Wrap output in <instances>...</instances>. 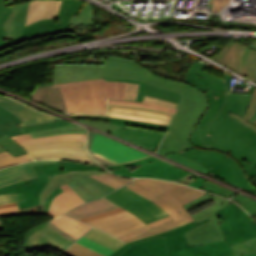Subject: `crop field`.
<instances>
[{"mask_svg":"<svg viewBox=\"0 0 256 256\" xmlns=\"http://www.w3.org/2000/svg\"><path fill=\"white\" fill-rule=\"evenodd\" d=\"M143 102L154 103V104H158V105H162V106H166V107H173V108L178 107L177 103L164 101V100H160V99H155V98H151V97H147V96L144 97Z\"/></svg>","mask_w":256,"mask_h":256,"instance_id":"49","label":"crop field"},{"mask_svg":"<svg viewBox=\"0 0 256 256\" xmlns=\"http://www.w3.org/2000/svg\"><path fill=\"white\" fill-rule=\"evenodd\" d=\"M249 47L256 49V41H253Z\"/></svg>","mask_w":256,"mask_h":256,"instance_id":"59","label":"crop field"},{"mask_svg":"<svg viewBox=\"0 0 256 256\" xmlns=\"http://www.w3.org/2000/svg\"><path fill=\"white\" fill-rule=\"evenodd\" d=\"M185 223H187L186 220L181 221V222H178V223H175V224H173V225L167 226V227H165V228H162V229H160V230L154 231V232H152V233H149V234H146V235H143V236L131 238V239H129V240H126L125 242L128 243V242H130V241H134V240H137V239H139V238L148 237V236H150V235L157 234V233H160V232H162V231H167V230H170V229H172V228L178 227V226H180V225H182V224H185Z\"/></svg>","mask_w":256,"mask_h":256,"instance_id":"50","label":"crop field"},{"mask_svg":"<svg viewBox=\"0 0 256 256\" xmlns=\"http://www.w3.org/2000/svg\"><path fill=\"white\" fill-rule=\"evenodd\" d=\"M138 84L127 83L124 99L135 100Z\"/></svg>","mask_w":256,"mask_h":256,"instance_id":"51","label":"crop field"},{"mask_svg":"<svg viewBox=\"0 0 256 256\" xmlns=\"http://www.w3.org/2000/svg\"><path fill=\"white\" fill-rule=\"evenodd\" d=\"M125 186L155 202L170 216L148 224L147 229L118 237L122 240L152 232L184 219L188 222L194 221L182 205L207 193L179 183L156 179L137 178Z\"/></svg>","mask_w":256,"mask_h":256,"instance_id":"5","label":"crop field"},{"mask_svg":"<svg viewBox=\"0 0 256 256\" xmlns=\"http://www.w3.org/2000/svg\"><path fill=\"white\" fill-rule=\"evenodd\" d=\"M156 160H159V159H157L155 157H151V158L139 160V161L132 162V163L119 164V165H115V166H104V167L107 168V169L130 167V166L139 165V164H146L148 162H153V161H156Z\"/></svg>","mask_w":256,"mask_h":256,"instance_id":"48","label":"crop field"},{"mask_svg":"<svg viewBox=\"0 0 256 256\" xmlns=\"http://www.w3.org/2000/svg\"><path fill=\"white\" fill-rule=\"evenodd\" d=\"M63 254L67 256H104L94 250H91L77 242L70 246Z\"/></svg>","mask_w":256,"mask_h":256,"instance_id":"35","label":"crop field"},{"mask_svg":"<svg viewBox=\"0 0 256 256\" xmlns=\"http://www.w3.org/2000/svg\"><path fill=\"white\" fill-rule=\"evenodd\" d=\"M231 256H233V255H231ZM242 256H256V253L248 254V255H242Z\"/></svg>","mask_w":256,"mask_h":256,"instance_id":"61","label":"crop field"},{"mask_svg":"<svg viewBox=\"0 0 256 256\" xmlns=\"http://www.w3.org/2000/svg\"><path fill=\"white\" fill-rule=\"evenodd\" d=\"M52 162H60V160H43V161H32L28 163L21 164L19 166L2 169L0 170V187L5 185L18 182L21 180H27L31 178H35L33 170L30 166L41 163H52Z\"/></svg>","mask_w":256,"mask_h":256,"instance_id":"23","label":"crop field"},{"mask_svg":"<svg viewBox=\"0 0 256 256\" xmlns=\"http://www.w3.org/2000/svg\"><path fill=\"white\" fill-rule=\"evenodd\" d=\"M86 149L102 165H115L151 156L91 130Z\"/></svg>","mask_w":256,"mask_h":256,"instance_id":"11","label":"crop field"},{"mask_svg":"<svg viewBox=\"0 0 256 256\" xmlns=\"http://www.w3.org/2000/svg\"><path fill=\"white\" fill-rule=\"evenodd\" d=\"M0 145L14 157L26 154V151L7 135L0 138Z\"/></svg>","mask_w":256,"mask_h":256,"instance_id":"36","label":"crop field"},{"mask_svg":"<svg viewBox=\"0 0 256 256\" xmlns=\"http://www.w3.org/2000/svg\"><path fill=\"white\" fill-rule=\"evenodd\" d=\"M51 222L76 240L92 228L64 214L51 220Z\"/></svg>","mask_w":256,"mask_h":256,"instance_id":"28","label":"crop field"},{"mask_svg":"<svg viewBox=\"0 0 256 256\" xmlns=\"http://www.w3.org/2000/svg\"><path fill=\"white\" fill-rule=\"evenodd\" d=\"M32 97L36 101L43 102L64 113H68L59 87H55L54 85L38 87L36 92L32 94Z\"/></svg>","mask_w":256,"mask_h":256,"instance_id":"26","label":"crop field"},{"mask_svg":"<svg viewBox=\"0 0 256 256\" xmlns=\"http://www.w3.org/2000/svg\"><path fill=\"white\" fill-rule=\"evenodd\" d=\"M24 161H32V159L28 154L14 158L7 151L0 153V168L19 164Z\"/></svg>","mask_w":256,"mask_h":256,"instance_id":"38","label":"crop field"},{"mask_svg":"<svg viewBox=\"0 0 256 256\" xmlns=\"http://www.w3.org/2000/svg\"><path fill=\"white\" fill-rule=\"evenodd\" d=\"M27 133H31L32 137L35 138V137H41V136H47V135H53V134H59V133H87V129L75 124H70V125H64L60 127L47 129V130L31 131Z\"/></svg>","mask_w":256,"mask_h":256,"instance_id":"31","label":"crop field"},{"mask_svg":"<svg viewBox=\"0 0 256 256\" xmlns=\"http://www.w3.org/2000/svg\"><path fill=\"white\" fill-rule=\"evenodd\" d=\"M205 66L201 63L195 71L213 82L205 93L210 106L195 128L191 142L200 148L223 150L247 170L256 164V132L227 114L232 111L243 117L251 96L229 93L231 76L225 74L222 81L203 72Z\"/></svg>","mask_w":256,"mask_h":256,"instance_id":"2","label":"crop field"},{"mask_svg":"<svg viewBox=\"0 0 256 256\" xmlns=\"http://www.w3.org/2000/svg\"><path fill=\"white\" fill-rule=\"evenodd\" d=\"M105 197L136 214L146 224L168 216L161 207L150 202L143 196L127 189L125 186Z\"/></svg>","mask_w":256,"mask_h":256,"instance_id":"13","label":"crop field"},{"mask_svg":"<svg viewBox=\"0 0 256 256\" xmlns=\"http://www.w3.org/2000/svg\"><path fill=\"white\" fill-rule=\"evenodd\" d=\"M2 151H5V150L0 146V152H2Z\"/></svg>","mask_w":256,"mask_h":256,"instance_id":"62","label":"crop field"},{"mask_svg":"<svg viewBox=\"0 0 256 256\" xmlns=\"http://www.w3.org/2000/svg\"><path fill=\"white\" fill-rule=\"evenodd\" d=\"M126 83L103 79L57 84L60 86L69 112L106 114L105 97L123 99Z\"/></svg>","mask_w":256,"mask_h":256,"instance_id":"7","label":"crop field"},{"mask_svg":"<svg viewBox=\"0 0 256 256\" xmlns=\"http://www.w3.org/2000/svg\"><path fill=\"white\" fill-rule=\"evenodd\" d=\"M70 243L45 223L28 231L24 239L25 252L32 250H45L49 245L63 251Z\"/></svg>","mask_w":256,"mask_h":256,"instance_id":"17","label":"crop field"},{"mask_svg":"<svg viewBox=\"0 0 256 256\" xmlns=\"http://www.w3.org/2000/svg\"><path fill=\"white\" fill-rule=\"evenodd\" d=\"M109 200V199H108ZM105 197L88 202L84 205L78 206L75 209L67 212L66 214L71 215L77 219L96 215L99 213L110 211L114 208L119 207L118 205L108 201Z\"/></svg>","mask_w":256,"mask_h":256,"instance_id":"27","label":"crop field"},{"mask_svg":"<svg viewBox=\"0 0 256 256\" xmlns=\"http://www.w3.org/2000/svg\"><path fill=\"white\" fill-rule=\"evenodd\" d=\"M234 255L256 252V238L230 246Z\"/></svg>","mask_w":256,"mask_h":256,"instance_id":"37","label":"crop field"},{"mask_svg":"<svg viewBox=\"0 0 256 256\" xmlns=\"http://www.w3.org/2000/svg\"><path fill=\"white\" fill-rule=\"evenodd\" d=\"M246 172H247V174H248L250 180H252L251 178L256 175V165H254L252 168H250V169H249L248 171H246Z\"/></svg>","mask_w":256,"mask_h":256,"instance_id":"56","label":"crop field"},{"mask_svg":"<svg viewBox=\"0 0 256 256\" xmlns=\"http://www.w3.org/2000/svg\"><path fill=\"white\" fill-rule=\"evenodd\" d=\"M23 148L33 159L62 158L98 164L87 154L85 142L82 141H55Z\"/></svg>","mask_w":256,"mask_h":256,"instance_id":"12","label":"crop field"},{"mask_svg":"<svg viewBox=\"0 0 256 256\" xmlns=\"http://www.w3.org/2000/svg\"><path fill=\"white\" fill-rule=\"evenodd\" d=\"M52 165H60V163H53V164H41V165H35L32 166V169L34 170L35 174L38 178L27 180V184L35 183L39 181H43L49 178V176L41 169L42 167L52 166Z\"/></svg>","mask_w":256,"mask_h":256,"instance_id":"45","label":"crop field"},{"mask_svg":"<svg viewBox=\"0 0 256 256\" xmlns=\"http://www.w3.org/2000/svg\"><path fill=\"white\" fill-rule=\"evenodd\" d=\"M108 102L112 103H120V104H128V105H137V106H145V107H150V108H155V109H160V110H165L169 112L175 113L177 109L173 108H166L154 104H147V103H139V102H132V101H125V100H118V99H107Z\"/></svg>","mask_w":256,"mask_h":256,"instance_id":"44","label":"crop field"},{"mask_svg":"<svg viewBox=\"0 0 256 256\" xmlns=\"http://www.w3.org/2000/svg\"><path fill=\"white\" fill-rule=\"evenodd\" d=\"M256 118V113L251 117V119L249 121H253Z\"/></svg>","mask_w":256,"mask_h":256,"instance_id":"60","label":"crop field"},{"mask_svg":"<svg viewBox=\"0 0 256 256\" xmlns=\"http://www.w3.org/2000/svg\"><path fill=\"white\" fill-rule=\"evenodd\" d=\"M22 123V121L15 116L12 112L8 111L4 107L0 106V137L7 134L9 136L21 135L26 131L46 129L64 124H70L66 120L19 127L16 124Z\"/></svg>","mask_w":256,"mask_h":256,"instance_id":"20","label":"crop field"},{"mask_svg":"<svg viewBox=\"0 0 256 256\" xmlns=\"http://www.w3.org/2000/svg\"><path fill=\"white\" fill-rule=\"evenodd\" d=\"M77 242H79V243H81V244H83V245H85L89 248H92V249H94V250H96V251H98V252H100V253H102L106 256H108V255H110L111 253L114 252V251L109 250V249H107V248H105V247H103V246H101V245H99V244H97V243H95L91 240H88L84 237L80 238Z\"/></svg>","mask_w":256,"mask_h":256,"instance_id":"46","label":"crop field"},{"mask_svg":"<svg viewBox=\"0 0 256 256\" xmlns=\"http://www.w3.org/2000/svg\"><path fill=\"white\" fill-rule=\"evenodd\" d=\"M200 64V62L198 61L197 63H195L194 65H192L189 68V71L186 75L185 81L188 83L193 84L195 87L199 88L202 91H206L208 89V87L211 85V82L198 77L194 70L196 69V67Z\"/></svg>","mask_w":256,"mask_h":256,"instance_id":"34","label":"crop field"},{"mask_svg":"<svg viewBox=\"0 0 256 256\" xmlns=\"http://www.w3.org/2000/svg\"><path fill=\"white\" fill-rule=\"evenodd\" d=\"M217 214L224 222L220 224L227 241L188 246L183 234L204 222H190L178 228L165 232L168 256H227L233 254L229 245L256 237L249 226L246 212L234 202L218 211Z\"/></svg>","mask_w":256,"mask_h":256,"instance_id":"4","label":"crop field"},{"mask_svg":"<svg viewBox=\"0 0 256 256\" xmlns=\"http://www.w3.org/2000/svg\"><path fill=\"white\" fill-rule=\"evenodd\" d=\"M248 219H249V224L250 226L255 230L256 232V222L249 216L247 215Z\"/></svg>","mask_w":256,"mask_h":256,"instance_id":"57","label":"crop field"},{"mask_svg":"<svg viewBox=\"0 0 256 256\" xmlns=\"http://www.w3.org/2000/svg\"><path fill=\"white\" fill-rule=\"evenodd\" d=\"M214 60L256 82V50L228 43Z\"/></svg>","mask_w":256,"mask_h":256,"instance_id":"14","label":"crop field"},{"mask_svg":"<svg viewBox=\"0 0 256 256\" xmlns=\"http://www.w3.org/2000/svg\"><path fill=\"white\" fill-rule=\"evenodd\" d=\"M92 9L91 5L87 2H84V7L80 10V12L72 17L70 24L72 25H92Z\"/></svg>","mask_w":256,"mask_h":256,"instance_id":"32","label":"crop field"},{"mask_svg":"<svg viewBox=\"0 0 256 256\" xmlns=\"http://www.w3.org/2000/svg\"><path fill=\"white\" fill-rule=\"evenodd\" d=\"M61 188L64 191L56 195V197L53 199L47 213L48 215L58 216L65 213L69 209L84 203V201L72 190L68 184L61 186Z\"/></svg>","mask_w":256,"mask_h":256,"instance_id":"24","label":"crop field"},{"mask_svg":"<svg viewBox=\"0 0 256 256\" xmlns=\"http://www.w3.org/2000/svg\"><path fill=\"white\" fill-rule=\"evenodd\" d=\"M255 111H256V88L254 89V94L252 96V100L249 105V108L243 118L231 112L228 115L232 116L233 118L237 119L238 121L242 122L243 124L247 125L251 129L256 131V127L247 122V120L250 119V117L255 113Z\"/></svg>","mask_w":256,"mask_h":256,"instance_id":"39","label":"crop field"},{"mask_svg":"<svg viewBox=\"0 0 256 256\" xmlns=\"http://www.w3.org/2000/svg\"><path fill=\"white\" fill-rule=\"evenodd\" d=\"M74 117L110 119V123L96 122V121H89V120H81V121L154 152L159 146L165 133H167V129L169 127L166 125L113 119L109 117H95V116H74Z\"/></svg>","mask_w":256,"mask_h":256,"instance_id":"8","label":"crop field"},{"mask_svg":"<svg viewBox=\"0 0 256 256\" xmlns=\"http://www.w3.org/2000/svg\"><path fill=\"white\" fill-rule=\"evenodd\" d=\"M109 81L139 83L136 101L142 102L144 95L179 103L181 94L131 79H104Z\"/></svg>","mask_w":256,"mask_h":256,"instance_id":"25","label":"crop field"},{"mask_svg":"<svg viewBox=\"0 0 256 256\" xmlns=\"http://www.w3.org/2000/svg\"><path fill=\"white\" fill-rule=\"evenodd\" d=\"M91 177L99 181L105 182L115 187L116 189L134 179V178H125V177L116 176L112 173L91 175Z\"/></svg>","mask_w":256,"mask_h":256,"instance_id":"33","label":"crop field"},{"mask_svg":"<svg viewBox=\"0 0 256 256\" xmlns=\"http://www.w3.org/2000/svg\"><path fill=\"white\" fill-rule=\"evenodd\" d=\"M69 115H94V114H69ZM102 116V115H95ZM108 116L128 120L151 122L170 125L173 113L137 106H127L108 103Z\"/></svg>","mask_w":256,"mask_h":256,"instance_id":"15","label":"crop field"},{"mask_svg":"<svg viewBox=\"0 0 256 256\" xmlns=\"http://www.w3.org/2000/svg\"><path fill=\"white\" fill-rule=\"evenodd\" d=\"M84 1L63 0L60 12L55 19L42 20L24 28L21 39L3 42L2 36L13 37L20 5L4 7L5 0H0V51L21 44L30 39L64 32L69 26L71 17L79 12Z\"/></svg>","mask_w":256,"mask_h":256,"instance_id":"6","label":"crop field"},{"mask_svg":"<svg viewBox=\"0 0 256 256\" xmlns=\"http://www.w3.org/2000/svg\"><path fill=\"white\" fill-rule=\"evenodd\" d=\"M15 205H17V204H16V203L2 204V205H0V208H2V207H8V206H15Z\"/></svg>","mask_w":256,"mask_h":256,"instance_id":"58","label":"crop field"},{"mask_svg":"<svg viewBox=\"0 0 256 256\" xmlns=\"http://www.w3.org/2000/svg\"><path fill=\"white\" fill-rule=\"evenodd\" d=\"M20 214L17 206L0 209V217Z\"/></svg>","mask_w":256,"mask_h":256,"instance_id":"53","label":"crop field"},{"mask_svg":"<svg viewBox=\"0 0 256 256\" xmlns=\"http://www.w3.org/2000/svg\"><path fill=\"white\" fill-rule=\"evenodd\" d=\"M166 157H168V158H170L172 160H175L177 162H180L182 164H185L187 166H190V167H192L194 169H197L199 171H202V172H204L206 174L209 173V171L207 169H205L204 167H202V166L196 164L195 162H193L192 160H190V159H188L186 157H183L181 155H178L176 153H170V154L166 155Z\"/></svg>","mask_w":256,"mask_h":256,"instance_id":"42","label":"crop field"},{"mask_svg":"<svg viewBox=\"0 0 256 256\" xmlns=\"http://www.w3.org/2000/svg\"><path fill=\"white\" fill-rule=\"evenodd\" d=\"M84 237L91 239L95 242H98L114 251H116L121 245L124 244L117 240L116 238L109 236L94 228L91 231H89L86 235H84Z\"/></svg>","mask_w":256,"mask_h":256,"instance_id":"30","label":"crop field"},{"mask_svg":"<svg viewBox=\"0 0 256 256\" xmlns=\"http://www.w3.org/2000/svg\"><path fill=\"white\" fill-rule=\"evenodd\" d=\"M49 226H51L53 229H55L57 232H59L61 235H63L65 238H67L69 241H71L72 243L75 242L76 240H74L73 238H71L70 236H68L67 234H65L64 232H62L60 229H58L56 226H54L50 221L46 222Z\"/></svg>","mask_w":256,"mask_h":256,"instance_id":"55","label":"crop field"},{"mask_svg":"<svg viewBox=\"0 0 256 256\" xmlns=\"http://www.w3.org/2000/svg\"><path fill=\"white\" fill-rule=\"evenodd\" d=\"M110 171L113 173L122 174L126 176L151 177V178L166 179L170 181H174L188 174L186 171L176 166H173L169 163H166L162 160H159L153 163H148L132 172L128 168L114 169Z\"/></svg>","mask_w":256,"mask_h":256,"instance_id":"19","label":"crop field"},{"mask_svg":"<svg viewBox=\"0 0 256 256\" xmlns=\"http://www.w3.org/2000/svg\"><path fill=\"white\" fill-rule=\"evenodd\" d=\"M235 202L240 204L247 212L251 214V216L256 215V201L240 195L238 197L232 198Z\"/></svg>","mask_w":256,"mask_h":256,"instance_id":"40","label":"crop field"},{"mask_svg":"<svg viewBox=\"0 0 256 256\" xmlns=\"http://www.w3.org/2000/svg\"><path fill=\"white\" fill-rule=\"evenodd\" d=\"M0 105L12 111L24 122L22 124H18L19 126L61 120L51 115L37 112L18 101L2 96H0Z\"/></svg>","mask_w":256,"mask_h":256,"instance_id":"21","label":"crop field"},{"mask_svg":"<svg viewBox=\"0 0 256 256\" xmlns=\"http://www.w3.org/2000/svg\"><path fill=\"white\" fill-rule=\"evenodd\" d=\"M23 200L22 193H12V194H1L0 195V204L1 203H10V202H20Z\"/></svg>","mask_w":256,"mask_h":256,"instance_id":"47","label":"crop field"},{"mask_svg":"<svg viewBox=\"0 0 256 256\" xmlns=\"http://www.w3.org/2000/svg\"><path fill=\"white\" fill-rule=\"evenodd\" d=\"M62 0H33L29 3L26 25L33 22L55 18L60 9Z\"/></svg>","mask_w":256,"mask_h":256,"instance_id":"22","label":"crop field"},{"mask_svg":"<svg viewBox=\"0 0 256 256\" xmlns=\"http://www.w3.org/2000/svg\"><path fill=\"white\" fill-rule=\"evenodd\" d=\"M177 153L186 156L207 168L212 172L208 175L224 180L256 194V188L251 185L243 173L241 166L222 152L203 151L195 148Z\"/></svg>","mask_w":256,"mask_h":256,"instance_id":"9","label":"crop field"},{"mask_svg":"<svg viewBox=\"0 0 256 256\" xmlns=\"http://www.w3.org/2000/svg\"><path fill=\"white\" fill-rule=\"evenodd\" d=\"M121 211H125V210L122 209L121 207H119V208L114 209V210H112L110 212H107V213H103V214H99V215H96V216L81 219V221L87 222V221L95 220V219H98V218L106 217V216H109V215H112L114 213L121 212Z\"/></svg>","mask_w":256,"mask_h":256,"instance_id":"52","label":"crop field"},{"mask_svg":"<svg viewBox=\"0 0 256 256\" xmlns=\"http://www.w3.org/2000/svg\"><path fill=\"white\" fill-rule=\"evenodd\" d=\"M254 123L256 124V121Z\"/></svg>","mask_w":256,"mask_h":256,"instance_id":"63","label":"crop field"},{"mask_svg":"<svg viewBox=\"0 0 256 256\" xmlns=\"http://www.w3.org/2000/svg\"><path fill=\"white\" fill-rule=\"evenodd\" d=\"M28 3L29 2L23 3L22 6H21V10H20V14H19V18H18L16 31H15V35H14L13 40H17L21 37L22 31H23V28H24V24H25V18H26Z\"/></svg>","mask_w":256,"mask_h":256,"instance_id":"43","label":"crop field"},{"mask_svg":"<svg viewBox=\"0 0 256 256\" xmlns=\"http://www.w3.org/2000/svg\"><path fill=\"white\" fill-rule=\"evenodd\" d=\"M205 185L206 186L201 188V190L212 192V193H215V194L227 197V198H230L234 194V192H232L226 188H223L213 182L207 181V182H205Z\"/></svg>","mask_w":256,"mask_h":256,"instance_id":"41","label":"crop field"},{"mask_svg":"<svg viewBox=\"0 0 256 256\" xmlns=\"http://www.w3.org/2000/svg\"><path fill=\"white\" fill-rule=\"evenodd\" d=\"M87 134H60L32 139L31 135L13 136L12 138L21 146L35 143H42L55 140H82L86 141Z\"/></svg>","mask_w":256,"mask_h":256,"instance_id":"29","label":"crop field"},{"mask_svg":"<svg viewBox=\"0 0 256 256\" xmlns=\"http://www.w3.org/2000/svg\"><path fill=\"white\" fill-rule=\"evenodd\" d=\"M96 78H131L182 93L177 113L157 153L165 156L169 152L194 148L188 137L204 113L207 98L192 86L166 81L137 63L118 57H110L104 66L55 65L54 83L44 85Z\"/></svg>","mask_w":256,"mask_h":256,"instance_id":"1","label":"crop field"},{"mask_svg":"<svg viewBox=\"0 0 256 256\" xmlns=\"http://www.w3.org/2000/svg\"><path fill=\"white\" fill-rule=\"evenodd\" d=\"M210 200L214 201L216 204L192 215L197 223L204 220L205 218H207L209 221L191 229L184 234L189 245L205 244L225 240L222 230L219 226L222 220L214 213L219 209L229 205V200L208 193L205 196L184 205V207L187 211H189Z\"/></svg>","mask_w":256,"mask_h":256,"instance_id":"10","label":"crop field"},{"mask_svg":"<svg viewBox=\"0 0 256 256\" xmlns=\"http://www.w3.org/2000/svg\"><path fill=\"white\" fill-rule=\"evenodd\" d=\"M110 256H167L164 232L125 244Z\"/></svg>","mask_w":256,"mask_h":256,"instance_id":"18","label":"crop field"},{"mask_svg":"<svg viewBox=\"0 0 256 256\" xmlns=\"http://www.w3.org/2000/svg\"><path fill=\"white\" fill-rule=\"evenodd\" d=\"M190 174L195 176V177H197L199 180H196V181H194V182H192V183H190L188 185L194 186V187H198V188L205 186L204 183H203L204 181H206L205 179H203V178H201V177H199V176H197L195 174H192V173H190Z\"/></svg>","mask_w":256,"mask_h":256,"instance_id":"54","label":"crop field"},{"mask_svg":"<svg viewBox=\"0 0 256 256\" xmlns=\"http://www.w3.org/2000/svg\"><path fill=\"white\" fill-rule=\"evenodd\" d=\"M87 223L115 237L147 228L140 218L128 211Z\"/></svg>","mask_w":256,"mask_h":256,"instance_id":"16","label":"crop field"},{"mask_svg":"<svg viewBox=\"0 0 256 256\" xmlns=\"http://www.w3.org/2000/svg\"><path fill=\"white\" fill-rule=\"evenodd\" d=\"M50 179L27 185L25 181L0 188L1 193L23 192L25 202L17 203L20 208L45 205V214L56 194L63 191L59 186L68 183L73 190L85 201L104 196L116 189L92 179L87 175L107 173L99 166L61 160V166L42 168Z\"/></svg>","mask_w":256,"mask_h":256,"instance_id":"3","label":"crop field"}]
</instances>
